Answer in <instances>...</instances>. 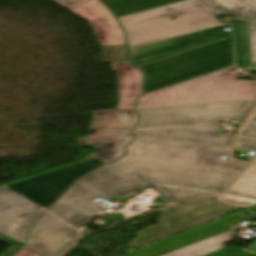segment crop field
I'll return each instance as SVG.
<instances>
[{
    "label": "crop field",
    "mask_w": 256,
    "mask_h": 256,
    "mask_svg": "<svg viewBox=\"0 0 256 256\" xmlns=\"http://www.w3.org/2000/svg\"><path fill=\"white\" fill-rule=\"evenodd\" d=\"M230 149L135 135L127 154L111 165L139 180L222 191L246 165L216 160Z\"/></svg>",
    "instance_id": "crop-field-1"
},
{
    "label": "crop field",
    "mask_w": 256,
    "mask_h": 256,
    "mask_svg": "<svg viewBox=\"0 0 256 256\" xmlns=\"http://www.w3.org/2000/svg\"><path fill=\"white\" fill-rule=\"evenodd\" d=\"M204 0H185L118 18L132 50L133 66L231 37L213 16L221 11ZM170 17H175L171 19Z\"/></svg>",
    "instance_id": "crop-field-2"
},
{
    "label": "crop field",
    "mask_w": 256,
    "mask_h": 256,
    "mask_svg": "<svg viewBox=\"0 0 256 256\" xmlns=\"http://www.w3.org/2000/svg\"><path fill=\"white\" fill-rule=\"evenodd\" d=\"M252 100L138 109L134 134L232 146L234 136L215 133L218 120H244Z\"/></svg>",
    "instance_id": "crop-field-3"
},
{
    "label": "crop field",
    "mask_w": 256,
    "mask_h": 256,
    "mask_svg": "<svg viewBox=\"0 0 256 256\" xmlns=\"http://www.w3.org/2000/svg\"><path fill=\"white\" fill-rule=\"evenodd\" d=\"M105 164L93 158L0 187V233L22 243L36 216L81 175Z\"/></svg>",
    "instance_id": "crop-field-4"
},
{
    "label": "crop field",
    "mask_w": 256,
    "mask_h": 256,
    "mask_svg": "<svg viewBox=\"0 0 256 256\" xmlns=\"http://www.w3.org/2000/svg\"><path fill=\"white\" fill-rule=\"evenodd\" d=\"M146 187L106 165L86 175L47 211L72 224L83 227L103 207L90 201L94 196L108 199L118 193L128 197Z\"/></svg>",
    "instance_id": "crop-field-5"
},
{
    "label": "crop field",
    "mask_w": 256,
    "mask_h": 256,
    "mask_svg": "<svg viewBox=\"0 0 256 256\" xmlns=\"http://www.w3.org/2000/svg\"><path fill=\"white\" fill-rule=\"evenodd\" d=\"M234 66L138 98L136 107L254 98L256 80H238Z\"/></svg>",
    "instance_id": "crop-field-6"
},
{
    "label": "crop field",
    "mask_w": 256,
    "mask_h": 256,
    "mask_svg": "<svg viewBox=\"0 0 256 256\" xmlns=\"http://www.w3.org/2000/svg\"><path fill=\"white\" fill-rule=\"evenodd\" d=\"M233 63L232 39L227 38L141 67L143 92L220 69Z\"/></svg>",
    "instance_id": "crop-field-7"
},
{
    "label": "crop field",
    "mask_w": 256,
    "mask_h": 256,
    "mask_svg": "<svg viewBox=\"0 0 256 256\" xmlns=\"http://www.w3.org/2000/svg\"><path fill=\"white\" fill-rule=\"evenodd\" d=\"M77 231L45 212L35 222L26 244L46 256H60L72 246L65 241L77 237Z\"/></svg>",
    "instance_id": "crop-field-8"
},
{
    "label": "crop field",
    "mask_w": 256,
    "mask_h": 256,
    "mask_svg": "<svg viewBox=\"0 0 256 256\" xmlns=\"http://www.w3.org/2000/svg\"><path fill=\"white\" fill-rule=\"evenodd\" d=\"M71 11L89 21L101 46L126 44L118 23L98 0Z\"/></svg>",
    "instance_id": "crop-field-9"
},
{
    "label": "crop field",
    "mask_w": 256,
    "mask_h": 256,
    "mask_svg": "<svg viewBox=\"0 0 256 256\" xmlns=\"http://www.w3.org/2000/svg\"><path fill=\"white\" fill-rule=\"evenodd\" d=\"M132 140L131 134L122 132L101 133L77 139L81 146L96 145L98 153L88 156L89 159L97 157L108 163L124 153V146Z\"/></svg>",
    "instance_id": "crop-field-10"
},
{
    "label": "crop field",
    "mask_w": 256,
    "mask_h": 256,
    "mask_svg": "<svg viewBox=\"0 0 256 256\" xmlns=\"http://www.w3.org/2000/svg\"><path fill=\"white\" fill-rule=\"evenodd\" d=\"M119 75L120 102L118 110L129 109L140 95L143 75L140 70L130 66V62L111 64Z\"/></svg>",
    "instance_id": "crop-field-11"
},
{
    "label": "crop field",
    "mask_w": 256,
    "mask_h": 256,
    "mask_svg": "<svg viewBox=\"0 0 256 256\" xmlns=\"http://www.w3.org/2000/svg\"><path fill=\"white\" fill-rule=\"evenodd\" d=\"M138 120L133 110L95 112L91 131L96 133L122 131L131 133Z\"/></svg>",
    "instance_id": "crop-field-12"
},
{
    "label": "crop field",
    "mask_w": 256,
    "mask_h": 256,
    "mask_svg": "<svg viewBox=\"0 0 256 256\" xmlns=\"http://www.w3.org/2000/svg\"><path fill=\"white\" fill-rule=\"evenodd\" d=\"M236 64H251L248 21L233 19Z\"/></svg>",
    "instance_id": "crop-field-13"
},
{
    "label": "crop field",
    "mask_w": 256,
    "mask_h": 256,
    "mask_svg": "<svg viewBox=\"0 0 256 256\" xmlns=\"http://www.w3.org/2000/svg\"><path fill=\"white\" fill-rule=\"evenodd\" d=\"M140 182V181H139ZM145 185H157V188L162 191L166 197L174 202H181L189 199L202 198L206 196L216 195L217 191H209L195 188H187L173 185H165V184H156V183H147L141 182Z\"/></svg>",
    "instance_id": "crop-field-14"
},
{
    "label": "crop field",
    "mask_w": 256,
    "mask_h": 256,
    "mask_svg": "<svg viewBox=\"0 0 256 256\" xmlns=\"http://www.w3.org/2000/svg\"><path fill=\"white\" fill-rule=\"evenodd\" d=\"M103 1L114 13L115 16H120L177 0H101Z\"/></svg>",
    "instance_id": "crop-field-15"
},
{
    "label": "crop field",
    "mask_w": 256,
    "mask_h": 256,
    "mask_svg": "<svg viewBox=\"0 0 256 256\" xmlns=\"http://www.w3.org/2000/svg\"><path fill=\"white\" fill-rule=\"evenodd\" d=\"M233 17L255 19L256 0H208Z\"/></svg>",
    "instance_id": "crop-field-16"
},
{
    "label": "crop field",
    "mask_w": 256,
    "mask_h": 256,
    "mask_svg": "<svg viewBox=\"0 0 256 256\" xmlns=\"http://www.w3.org/2000/svg\"><path fill=\"white\" fill-rule=\"evenodd\" d=\"M225 192L256 198V156Z\"/></svg>",
    "instance_id": "crop-field-17"
},
{
    "label": "crop field",
    "mask_w": 256,
    "mask_h": 256,
    "mask_svg": "<svg viewBox=\"0 0 256 256\" xmlns=\"http://www.w3.org/2000/svg\"><path fill=\"white\" fill-rule=\"evenodd\" d=\"M235 148L256 151V105L238 134Z\"/></svg>",
    "instance_id": "crop-field-18"
},
{
    "label": "crop field",
    "mask_w": 256,
    "mask_h": 256,
    "mask_svg": "<svg viewBox=\"0 0 256 256\" xmlns=\"http://www.w3.org/2000/svg\"><path fill=\"white\" fill-rule=\"evenodd\" d=\"M219 199H221L222 201H224L226 203L233 204L236 206L249 207L251 205L256 204V199H254V198L226 194V193H223L221 196H219Z\"/></svg>",
    "instance_id": "crop-field-19"
},
{
    "label": "crop field",
    "mask_w": 256,
    "mask_h": 256,
    "mask_svg": "<svg viewBox=\"0 0 256 256\" xmlns=\"http://www.w3.org/2000/svg\"><path fill=\"white\" fill-rule=\"evenodd\" d=\"M0 242L10 246L3 253H1L0 256H12L16 251H18L24 245L2 234H0Z\"/></svg>",
    "instance_id": "crop-field-20"
},
{
    "label": "crop field",
    "mask_w": 256,
    "mask_h": 256,
    "mask_svg": "<svg viewBox=\"0 0 256 256\" xmlns=\"http://www.w3.org/2000/svg\"><path fill=\"white\" fill-rule=\"evenodd\" d=\"M249 25H250L252 64H256V22L249 21Z\"/></svg>",
    "instance_id": "crop-field-21"
},
{
    "label": "crop field",
    "mask_w": 256,
    "mask_h": 256,
    "mask_svg": "<svg viewBox=\"0 0 256 256\" xmlns=\"http://www.w3.org/2000/svg\"><path fill=\"white\" fill-rule=\"evenodd\" d=\"M62 6H64L65 8L71 10L77 6H80L86 2H89L91 0H52Z\"/></svg>",
    "instance_id": "crop-field-22"
},
{
    "label": "crop field",
    "mask_w": 256,
    "mask_h": 256,
    "mask_svg": "<svg viewBox=\"0 0 256 256\" xmlns=\"http://www.w3.org/2000/svg\"><path fill=\"white\" fill-rule=\"evenodd\" d=\"M14 256H44V255L25 245Z\"/></svg>",
    "instance_id": "crop-field-23"
},
{
    "label": "crop field",
    "mask_w": 256,
    "mask_h": 256,
    "mask_svg": "<svg viewBox=\"0 0 256 256\" xmlns=\"http://www.w3.org/2000/svg\"><path fill=\"white\" fill-rule=\"evenodd\" d=\"M256 70V65L247 66V69H245V72Z\"/></svg>",
    "instance_id": "crop-field-24"
},
{
    "label": "crop field",
    "mask_w": 256,
    "mask_h": 256,
    "mask_svg": "<svg viewBox=\"0 0 256 256\" xmlns=\"http://www.w3.org/2000/svg\"><path fill=\"white\" fill-rule=\"evenodd\" d=\"M78 239H80V238L77 237V238L72 239V240H69V241H67V242L73 245Z\"/></svg>",
    "instance_id": "crop-field-25"
}]
</instances>
